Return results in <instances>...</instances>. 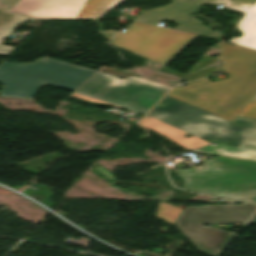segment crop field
Masks as SVG:
<instances>
[{"label": "crop field", "instance_id": "obj_10", "mask_svg": "<svg viewBox=\"0 0 256 256\" xmlns=\"http://www.w3.org/2000/svg\"><path fill=\"white\" fill-rule=\"evenodd\" d=\"M208 4H223L228 9L244 12L246 15L237 25L243 33L233 37L229 43L256 49V0H194Z\"/></svg>", "mask_w": 256, "mask_h": 256}, {"label": "crop field", "instance_id": "obj_5", "mask_svg": "<svg viewBox=\"0 0 256 256\" xmlns=\"http://www.w3.org/2000/svg\"><path fill=\"white\" fill-rule=\"evenodd\" d=\"M168 88L142 78L119 79L96 72L70 97L106 103L144 115Z\"/></svg>", "mask_w": 256, "mask_h": 256}, {"label": "crop field", "instance_id": "obj_6", "mask_svg": "<svg viewBox=\"0 0 256 256\" xmlns=\"http://www.w3.org/2000/svg\"><path fill=\"white\" fill-rule=\"evenodd\" d=\"M255 209V204L239 206L233 203L187 207L184 208L175 225L195 245L198 251L209 256H217L235 233L202 225L217 223L244 224Z\"/></svg>", "mask_w": 256, "mask_h": 256}, {"label": "crop field", "instance_id": "obj_13", "mask_svg": "<svg viewBox=\"0 0 256 256\" xmlns=\"http://www.w3.org/2000/svg\"><path fill=\"white\" fill-rule=\"evenodd\" d=\"M238 116L256 119V96L247 104Z\"/></svg>", "mask_w": 256, "mask_h": 256}, {"label": "crop field", "instance_id": "obj_8", "mask_svg": "<svg viewBox=\"0 0 256 256\" xmlns=\"http://www.w3.org/2000/svg\"><path fill=\"white\" fill-rule=\"evenodd\" d=\"M169 5L145 11L137 16V20L157 25L167 19L178 24L174 29L194 33L202 36L220 39L223 36L217 35L207 26L193 19L189 14L203 5V3L191 0H170Z\"/></svg>", "mask_w": 256, "mask_h": 256}, {"label": "crop field", "instance_id": "obj_12", "mask_svg": "<svg viewBox=\"0 0 256 256\" xmlns=\"http://www.w3.org/2000/svg\"><path fill=\"white\" fill-rule=\"evenodd\" d=\"M123 0H88L78 18L95 19L102 17Z\"/></svg>", "mask_w": 256, "mask_h": 256}, {"label": "crop field", "instance_id": "obj_14", "mask_svg": "<svg viewBox=\"0 0 256 256\" xmlns=\"http://www.w3.org/2000/svg\"><path fill=\"white\" fill-rule=\"evenodd\" d=\"M231 124L241 125V126H249V127H256V120L236 117L234 120L231 121Z\"/></svg>", "mask_w": 256, "mask_h": 256}, {"label": "crop field", "instance_id": "obj_9", "mask_svg": "<svg viewBox=\"0 0 256 256\" xmlns=\"http://www.w3.org/2000/svg\"><path fill=\"white\" fill-rule=\"evenodd\" d=\"M87 0H20L11 10L36 18H77Z\"/></svg>", "mask_w": 256, "mask_h": 256}, {"label": "crop field", "instance_id": "obj_15", "mask_svg": "<svg viewBox=\"0 0 256 256\" xmlns=\"http://www.w3.org/2000/svg\"><path fill=\"white\" fill-rule=\"evenodd\" d=\"M19 0H0V7L10 9L12 8Z\"/></svg>", "mask_w": 256, "mask_h": 256}, {"label": "crop field", "instance_id": "obj_1", "mask_svg": "<svg viewBox=\"0 0 256 256\" xmlns=\"http://www.w3.org/2000/svg\"><path fill=\"white\" fill-rule=\"evenodd\" d=\"M139 124L192 152L256 161V128L229 125L202 109L166 96ZM193 135L190 138L184 134Z\"/></svg>", "mask_w": 256, "mask_h": 256}, {"label": "crop field", "instance_id": "obj_17", "mask_svg": "<svg viewBox=\"0 0 256 256\" xmlns=\"http://www.w3.org/2000/svg\"><path fill=\"white\" fill-rule=\"evenodd\" d=\"M251 220V219H250ZM249 220V221H250ZM251 224H256V215L252 218V220L249 222Z\"/></svg>", "mask_w": 256, "mask_h": 256}, {"label": "crop field", "instance_id": "obj_11", "mask_svg": "<svg viewBox=\"0 0 256 256\" xmlns=\"http://www.w3.org/2000/svg\"><path fill=\"white\" fill-rule=\"evenodd\" d=\"M28 20L29 18L0 9V53L9 54L14 49L1 44L5 37L11 34L18 25L26 23Z\"/></svg>", "mask_w": 256, "mask_h": 256}, {"label": "crop field", "instance_id": "obj_7", "mask_svg": "<svg viewBox=\"0 0 256 256\" xmlns=\"http://www.w3.org/2000/svg\"><path fill=\"white\" fill-rule=\"evenodd\" d=\"M198 36L134 21L110 44L150 61L167 66Z\"/></svg>", "mask_w": 256, "mask_h": 256}, {"label": "crop field", "instance_id": "obj_16", "mask_svg": "<svg viewBox=\"0 0 256 256\" xmlns=\"http://www.w3.org/2000/svg\"><path fill=\"white\" fill-rule=\"evenodd\" d=\"M114 33L115 31L107 30L106 32L100 31L99 35L103 36L106 39H109Z\"/></svg>", "mask_w": 256, "mask_h": 256}, {"label": "crop field", "instance_id": "obj_2", "mask_svg": "<svg viewBox=\"0 0 256 256\" xmlns=\"http://www.w3.org/2000/svg\"><path fill=\"white\" fill-rule=\"evenodd\" d=\"M221 55L216 59L204 56L185 75L168 69L162 71L192 80L216 71L205 67L220 60L223 71L231 78L210 83L207 78L174 87L168 96L205 109L227 121L235 118L256 94V51L218 42Z\"/></svg>", "mask_w": 256, "mask_h": 256}, {"label": "crop field", "instance_id": "obj_3", "mask_svg": "<svg viewBox=\"0 0 256 256\" xmlns=\"http://www.w3.org/2000/svg\"><path fill=\"white\" fill-rule=\"evenodd\" d=\"M201 170L177 171L184 189L237 202H256V162L218 156L204 160Z\"/></svg>", "mask_w": 256, "mask_h": 256}, {"label": "crop field", "instance_id": "obj_4", "mask_svg": "<svg viewBox=\"0 0 256 256\" xmlns=\"http://www.w3.org/2000/svg\"><path fill=\"white\" fill-rule=\"evenodd\" d=\"M94 73V70L51 58H41L33 64L3 62L0 83L5 87L0 94L31 98L42 84L74 91Z\"/></svg>", "mask_w": 256, "mask_h": 256}]
</instances>
